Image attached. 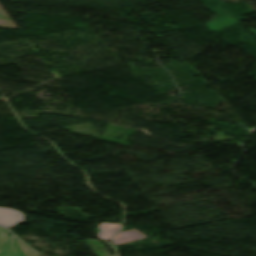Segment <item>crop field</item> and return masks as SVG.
Returning <instances> with one entry per match:
<instances>
[{
	"instance_id": "crop-field-1",
	"label": "crop field",
	"mask_w": 256,
	"mask_h": 256,
	"mask_svg": "<svg viewBox=\"0 0 256 256\" xmlns=\"http://www.w3.org/2000/svg\"><path fill=\"white\" fill-rule=\"evenodd\" d=\"M26 217L27 216L19 211L0 208V225H4L8 228L13 227Z\"/></svg>"
},
{
	"instance_id": "crop-field-3",
	"label": "crop field",
	"mask_w": 256,
	"mask_h": 256,
	"mask_svg": "<svg viewBox=\"0 0 256 256\" xmlns=\"http://www.w3.org/2000/svg\"><path fill=\"white\" fill-rule=\"evenodd\" d=\"M0 256H24L13 235L9 238L5 253Z\"/></svg>"
},
{
	"instance_id": "crop-field-4",
	"label": "crop field",
	"mask_w": 256,
	"mask_h": 256,
	"mask_svg": "<svg viewBox=\"0 0 256 256\" xmlns=\"http://www.w3.org/2000/svg\"><path fill=\"white\" fill-rule=\"evenodd\" d=\"M117 231H119L120 229V225L117 224H109V223H102L98 228L101 230L97 235L99 236V238L107 240L109 237H111L113 234L112 232L117 228ZM115 232V233H116ZM114 233V234H115ZM112 234V235H111Z\"/></svg>"
},
{
	"instance_id": "crop-field-5",
	"label": "crop field",
	"mask_w": 256,
	"mask_h": 256,
	"mask_svg": "<svg viewBox=\"0 0 256 256\" xmlns=\"http://www.w3.org/2000/svg\"><path fill=\"white\" fill-rule=\"evenodd\" d=\"M7 233H8L7 230L0 227V253L4 251V248L7 242V236H6Z\"/></svg>"
},
{
	"instance_id": "crop-field-2",
	"label": "crop field",
	"mask_w": 256,
	"mask_h": 256,
	"mask_svg": "<svg viewBox=\"0 0 256 256\" xmlns=\"http://www.w3.org/2000/svg\"><path fill=\"white\" fill-rule=\"evenodd\" d=\"M143 238H147V237L139 233L137 230L133 229V230L119 233L110 242L114 243L115 245H119V244L131 242V241H135Z\"/></svg>"
},
{
	"instance_id": "crop-field-6",
	"label": "crop field",
	"mask_w": 256,
	"mask_h": 256,
	"mask_svg": "<svg viewBox=\"0 0 256 256\" xmlns=\"http://www.w3.org/2000/svg\"><path fill=\"white\" fill-rule=\"evenodd\" d=\"M17 242L21 247L22 251L24 252L25 256H39L36 253H34L31 249H29L27 246H25L23 243H21L19 240H17Z\"/></svg>"
}]
</instances>
